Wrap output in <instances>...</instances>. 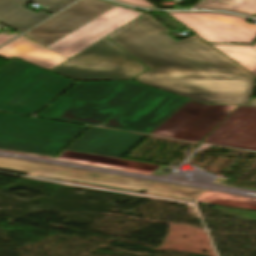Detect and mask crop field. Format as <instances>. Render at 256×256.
<instances>
[{
    "label": "crop field",
    "instance_id": "730fd06b",
    "mask_svg": "<svg viewBox=\"0 0 256 256\" xmlns=\"http://www.w3.org/2000/svg\"><path fill=\"white\" fill-rule=\"evenodd\" d=\"M256 17V16H255Z\"/></svg>",
    "mask_w": 256,
    "mask_h": 256
},
{
    "label": "crop field",
    "instance_id": "5142ce71",
    "mask_svg": "<svg viewBox=\"0 0 256 256\" xmlns=\"http://www.w3.org/2000/svg\"><path fill=\"white\" fill-rule=\"evenodd\" d=\"M0 56L8 59L15 56L48 70L68 60L24 35L1 48Z\"/></svg>",
    "mask_w": 256,
    "mask_h": 256
},
{
    "label": "crop field",
    "instance_id": "8a807250",
    "mask_svg": "<svg viewBox=\"0 0 256 256\" xmlns=\"http://www.w3.org/2000/svg\"><path fill=\"white\" fill-rule=\"evenodd\" d=\"M187 101L134 82H78L37 116L150 134Z\"/></svg>",
    "mask_w": 256,
    "mask_h": 256
},
{
    "label": "crop field",
    "instance_id": "00972430",
    "mask_svg": "<svg viewBox=\"0 0 256 256\" xmlns=\"http://www.w3.org/2000/svg\"><path fill=\"white\" fill-rule=\"evenodd\" d=\"M14 153V152H13ZM20 154V153H19ZM26 155V154H25ZM33 156V155H32ZM41 157V156H40ZM46 158H49V157H46ZM52 159H55V158H52ZM60 160V159H59ZM66 161V160H65ZM96 166V165H95ZM101 167H103V166H101ZM107 168H109V167H107ZM114 169H116V168H114ZM120 170H123V169H120ZM126 171H129V170H126ZM132 172H135V171H132ZM138 173H141V172H138ZM144 174H147V173H144Z\"/></svg>",
    "mask_w": 256,
    "mask_h": 256
},
{
    "label": "crop field",
    "instance_id": "4177f3b9",
    "mask_svg": "<svg viewBox=\"0 0 256 256\" xmlns=\"http://www.w3.org/2000/svg\"><path fill=\"white\" fill-rule=\"evenodd\" d=\"M254 186H256V184Z\"/></svg>",
    "mask_w": 256,
    "mask_h": 256
},
{
    "label": "crop field",
    "instance_id": "e52e79f7",
    "mask_svg": "<svg viewBox=\"0 0 256 256\" xmlns=\"http://www.w3.org/2000/svg\"><path fill=\"white\" fill-rule=\"evenodd\" d=\"M137 82L207 104L248 105L256 80Z\"/></svg>",
    "mask_w": 256,
    "mask_h": 256
},
{
    "label": "crop field",
    "instance_id": "92a150f3",
    "mask_svg": "<svg viewBox=\"0 0 256 256\" xmlns=\"http://www.w3.org/2000/svg\"><path fill=\"white\" fill-rule=\"evenodd\" d=\"M118 1L133 4V5H137V6H142V7H149V8L154 7L153 5H151L150 3H148L145 0H118Z\"/></svg>",
    "mask_w": 256,
    "mask_h": 256
},
{
    "label": "crop field",
    "instance_id": "4a817a6b",
    "mask_svg": "<svg viewBox=\"0 0 256 256\" xmlns=\"http://www.w3.org/2000/svg\"><path fill=\"white\" fill-rule=\"evenodd\" d=\"M196 7L256 15V0H204Z\"/></svg>",
    "mask_w": 256,
    "mask_h": 256
},
{
    "label": "crop field",
    "instance_id": "dd49c442",
    "mask_svg": "<svg viewBox=\"0 0 256 256\" xmlns=\"http://www.w3.org/2000/svg\"><path fill=\"white\" fill-rule=\"evenodd\" d=\"M0 167L16 168L28 170L35 175L53 177L59 179L76 180L86 183H92L97 185L126 188V189H140L145 188L151 192L194 199L197 200L202 190L187 188L175 185H168L162 183H155L149 181H142L130 178H123L111 175H104L86 171H80L75 169H69L64 167H58L53 165L4 159L0 158Z\"/></svg>",
    "mask_w": 256,
    "mask_h": 256
},
{
    "label": "crop field",
    "instance_id": "cbeb9de0",
    "mask_svg": "<svg viewBox=\"0 0 256 256\" xmlns=\"http://www.w3.org/2000/svg\"><path fill=\"white\" fill-rule=\"evenodd\" d=\"M30 1L47 5L44 10L54 14L75 0H0V22L22 32L50 16L21 7Z\"/></svg>",
    "mask_w": 256,
    "mask_h": 256
},
{
    "label": "crop field",
    "instance_id": "f4fd0767",
    "mask_svg": "<svg viewBox=\"0 0 256 256\" xmlns=\"http://www.w3.org/2000/svg\"><path fill=\"white\" fill-rule=\"evenodd\" d=\"M145 69L105 37L51 71L77 80H130Z\"/></svg>",
    "mask_w": 256,
    "mask_h": 256
},
{
    "label": "crop field",
    "instance_id": "bc2a9ffb",
    "mask_svg": "<svg viewBox=\"0 0 256 256\" xmlns=\"http://www.w3.org/2000/svg\"><path fill=\"white\" fill-rule=\"evenodd\" d=\"M201 202L220 204L232 207L256 210V200L227 194L217 193L205 190L201 198Z\"/></svg>",
    "mask_w": 256,
    "mask_h": 256
},
{
    "label": "crop field",
    "instance_id": "ac0d7876",
    "mask_svg": "<svg viewBox=\"0 0 256 256\" xmlns=\"http://www.w3.org/2000/svg\"><path fill=\"white\" fill-rule=\"evenodd\" d=\"M147 14L107 36L150 68L134 80L256 79L193 36L176 42Z\"/></svg>",
    "mask_w": 256,
    "mask_h": 256
},
{
    "label": "crop field",
    "instance_id": "d1516ede",
    "mask_svg": "<svg viewBox=\"0 0 256 256\" xmlns=\"http://www.w3.org/2000/svg\"><path fill=\"white\" fill-rule=\"evenodd\" d=\"M145 136L91 127L66 149L121 158Z\"/></svg>",
    "mask_w": 256,
    "mask_h": 256
},
{
    "label": "crop field",
    "instance_id": "d9b57169",
    "mask_svg": "<svg viewBox=\"0 0 256 256\" xmlns=\"http://www.w3.org/2000/svg\"><path fill=\"white\" fill-rule=\"evenodd\" d=\"M59 158L71 160V161L89 163V164H96V165H103V166H109V167L147 172V173H152L158 167H160L158 165L138 163V162H132V161H127V160H122L117 158L90 155V154H84V153L73 152L68 150H65Z\"/></svg>",
    "mask_w": 256,
    "mask_h": 256
},
{
    "label": "crop field",
    "instance_id": "5a996713",
    "mask_svg": "<svg viewBox=\"0 0 256 256\" xmlns=\"http://www.w3.org/2000/svg\"><path fill=\"white\" fill-rule=\"evenodd\" d=\"M143 14L116 6L71 32L48 48L69 59L76 53Z\"/></svg>",
    "mask_w": 256,
    "mask_h": 256
},
{
    "label": "crop field",
    "instance_id": "dafd665d",
    "mask_svg": "<svg viewBox=\"0 0 256 256\" xmlns=\"http://www.w3.org/2000/svg\"><path fill=\"white\" fill-rule=\"evenodd\" d=\"M16 35H18V34H16V33H13L10 35L0 34V45L3 44L4 42L8 41L9 39L13 38Z\"/></svg>",
    "mask_w": 256,
    "mask_h": 256
},
{
    "label": "crop field",
    "instance_id": "733c2abd",
    "mask_svg": "<svg viewBox=\"0 0 256 256\" xmlns=\"http://www.w3.org/2000/svg\"><path fill=\"white\" fill-rule=\"evenodd\" d=\"M256 76V43L254 45L209 43Z\"/></svg>",
    "mask_w": 256,
    "mask_h": 256
},
{
    "label": "crop field",
    "instance_id": "3316defc",
    "mask_svg": "<svg viewBox=\"0 0 256 256\" xmlns=\"http://www.w3.org/2000/svg\"><path fill=\"white\" fill-rule=\"evenodd\" d=\"M114 6L98 0H82L24 35L47 47Z\"/></svg>",
    "mask_w": 256,
    "mask_h": 256
},
{
    "label": "crop field",
    "instance_id": "28ad6ade",
    "mask_svg": "<svg viewBox=\"0 0 256 256\" xmlns=\"http://www.w3.org/2000/svg\"><path fill=\"white\" fill-rule=\"evenodd\" d=\"M203 143L256 151V107L239 106Z\"/></svg>",
    "mask_w": 256,
    "mask_h": 256
},
{
    "label": "crop field",
    "instance_id": "22f410ed",
    "mask_svg": "<svg viewBox=\"0 0 256 256\" xmlns=\"http://www.w3.org/2000/svg\"><path fill=\"white\" fill-rule=\"evenodd\" d=\"M224 106L189 100L151 134L174 138L185 127L205 130L222 115Z\"/></svg>",
    "mask_w": 256,
    "mask_h": 256
},
{
    "label": "crop field",
    "instance_id": "d8731c3e",
    "mask_svg": "<svg viewBox=\"0 0 256 256\" xmlns=\"http://www.w3.org/2000/svg\"><path fill=\"white\" fill-rule=\"evenodd\" d=\"M167 14L207 42L253 44L256 39V25L233 15L207 12Z\"/></svg>",
    "mask_w": 256,
    "mask_h": 256
},
{
    "label": "crop field",
    "instance_id": "214f88e0",
    "mask_svg": "<svg viewBox=\"0 0 256 256\" xmlns=\"http://www.w3.org/2000/svg\"><path fill=\"white\" fill-rule=\"evenodd\" d=\"M237 106L226 105L223 111V115L217 119L208 129L205 131L185 128L175 138L189 140V141H201L207 136L226 116H228Z\"/></svg>",
    "mask_w": 256,
    "mask_h": 256
},
{
    "label": "crop field",
    "instance_id": "34b2d1b8",
    "mask_svg": "<svg viewBox=\"0 0 256 256\" xmlns=\"http://www.w3.org/2000/svg\"><path fill=\"white\" fill-rule=\"evenodd\" d=\"M74 82L14 59L0 69V110L34 115Z\"/></svg>",
    "mask_w": 256,
    "mask_h": 256
},
{
    "label": "crop field",
    "instance_id": "412701ff",
    "mask_svg": "<svg viewBox=\"0 0 256 256\" xmlns=\"http://www.w3.org/2000/svg\"><path fill=\"white\" fill-rule=\"evenodd\" d=\"M87 128L0 113V149L55 157Z\"/></svg>",
    "mask_w": 256,
    "mask_h": 256
},
{
    "label": "crop field",
    "instance_id": "a9b5d70f",
    "mask_svg": "<svg viewBox=\"0 0 256 256\" xmlns=\"http://www.w3.org/2000/svg\"><path fill=\"white\" fill-rule=\"evenodd\" d=\"M250 106H256V98H253V101Z\"/></svg>",
    "mask_w": 256,
    "mask_h": 256
}]
</instances>
